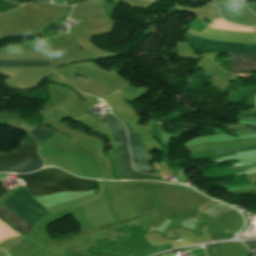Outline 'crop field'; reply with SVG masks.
Returning a JSON list of instances; mask_svg holds the SVG:
<instances>
[{"mask_svg": "<svg viewBox=\"0 0 256 256\" xmlns=\"http://www.w3.org/2000/svg\"><path fill=\"white\" fill-rule=\"evenodd\" d=\"M32 136H34L37 141L39 142V145H41L43 142L48 140L50 137L55 135V133L46 130L44 128H35L34 131L31 133Z\"/></svg>", "mask_w": 256, "mask_h": 256, "instance_id": "8", "label": "crop field"}, {"mask_svg": "<svg viewBox=\"0 0 256 256\" xmlns=\"http://www.w3.org/2000/svg\"><path fill=\"white\" fill-rule=\"evenodd\" d=\"M157 168L160 169L159 166H157Z\"/></svg>", "mask_w": 256, "mask_h": 256, "instance_id": "17", "label": "crop field"}, {"mask_svg": "<svg viewBox=\"0 0 256 256\" xmlns=\"http://www.w3.org/2000/svg\"><path fill=\"white\" fill-rule=\"evenodd\" d=\"M19 6H21V5H14V4H10L8 2H5L3 0H0V13L10 11L14 8L19 7Z\"/></svg>", "mask_w": 256, "mask_h": 256, "instance_id": "9", "label": "crop field"}, {"mask_svg": "<svg viewBox=\"0 0 256 256\" xmlns=\"http://www.w3.org/2000/svg\"><path fill=\"white\" fill-rule=\"evenodd\" d=\"M2 200L7 206L34 226L49 215V213L32 198L31 194L24 186L3 197ZM7 206L2 209L0 208V218L7 221L13 228L28 235L34 226Z\"/></svg>", "mask_w": 256, "mask_h": 256, "instance_id": "1", "label": "crop field"}, {"mask_svg": "<svg viewBox=\"0 0 256 256\" xmlns=\"http://www.w3.org/2000/svg\"><path fill=\"white\" fill-rule=\"evenodd\" d=\"M26 182L33 196H42L63 191H88L96 181L76 178L56 168H48L27 175H17Z\"/></svg>", "mask_w": 256, "mask_h": 256, "instance_id": "2", "label": "crop field"}, {"mask_svg": "<svg viewBox=\"0 0 256 256\" xmlns=\"http://www.w3.org/2000/svg\"><path fill=\"white\" fill-rule=\"evenodd\" d=\"M256 162H252V163H244V164H233V166H240V165H247V164H254Z\"/></svg>", "mask_w": 256, "mask_h": 256, "instance_id": "13", "label": "crop field"}, {"mask_svg": "<svg viewBox=\"0 0 256 256\" xmlns=\"http://www.w3.org/2000/svg\"><path fill=\"white\" fill-rule=\"evenodd\" d=\"M125 126L129 134L130 149L135 168L143 171H151L152 167L149 165V161L152 158L147 151L144 141L138 132L132 129L130 123H126Z\"/></svg>", "mask_w": 256, "mask_h": 256, "instance_id": "6", "label": "crop field"}, {"mask_svg": "<svg viewBox=\"0 0 256 256\" xmlns=\"http://www.w3.org/2000/svg\"><path fill=\"white\" fill-rule=\"evenodd\" d=\"M240 116H246V117H248V116H250V117H255L256 118V115H240Z\"/></svg>", "mask_w": 256, "mask_h": 256, "instance_id": "16", "label": "crop field"}, {"mask_svg": "<svg viewBox=\"0 0 256 256\" xmlns=\"http://www.w3.org/2000/svg\"><path fill=\"white\" fill-rule=\"evenodd\" d=\"M105 115L106 120L108 121L109 130L118 146L120 155L122 157L124 172L126 175H129L134 170L130 162L126 130L124 126L112 115Z\"/></svg>", "mask_w": 256, "mask_h": 256, "instance_id": "5", "label": "crop field"}, {"mask_svg": "<svg viewBox=\"0 0 256 256\" xmlns=\"http://www.w3.org/2000/svg\"><path fill=\"white\" fill-rule=\"evenodd\" d=\"M189 42L195 46V48L201 51H215L219 54L232 52V53H244L256 55V45L248 47L247 45H236L218 42H209L189 36ZM231 54V53H230ZM244 54H231L234 62L230 69L232 73H250L256 71V56L244 55ZM247 58L248 60H243Z\"/></svg>", "mask_w": 256, "mask_h": 256, "instance_id": "3", "label": "crop field"}, {"mask_svg": "<svg viewBox=\"0 0 256 256\" xmlns=\"http://www.w3.org/2000/svg\"><path fill=\"white\" fill-rule=\"evenodd\" d=\"M248 120L256 121L255 118H248ZM245 128V133H256V125L243 124Z\"/></svg>", "mask_w": 256, "mask_h": 256, "instance_id": "10", "label": "crop field"}, {"mask_svg": "<svg viewBox=\"0 0 256 256\" xmlns=\"http://www.w3.org/2000/svg\"><path fill=\"white\" fill-rule=\"evenodd\" d=\"M0 66L15 67V66H50L49 60H0Z\"/></svg>", "mask_w": 256, "mask_h": 256, "instance_id": "7", "label": "crop field"}, {"mask_svg": "<svg viewBox=\"0 0 256 256\" xmlns=\"http://www.w3.org/2000/svg\"><path fill=\"white\" fill-rule=\"evenodd\" d=\"M241 113L242 114H256V112H252V111H250V112L241 111Z\"/></svg>", "mask_w": 256, "mask_h": 256, "instance_id": "14", "label": "crop field"}, {"mask_svg": "<svg viewBox=\"0 0 256 256\" xmlns=\"http://www.w3.org/2000/svg\"><path fill=\"white\" fill-rule=\"evenodd\" d=\"M6 192V190L2 187V185L0 184V194Z\"/></svg>", "mask_w": 256, "mask_h": 256, "instance_id": "15", "label": "crop field"}, {"mask_svg": "<svg viewBox=\"0 0 256 256\" xmlns=\"http://www.w3.org/2000/svg\"><path fill=\"white\" fill-rule=\"evenodd\" d=\"M24 143L37 144L36 140L30 135ZM30 144H22L18 150L11 154H0V161L38 156L37 145ZM42 166L43 161L39 157L2 161L0 162V172L27 173L41 169Z\"/></svg>", "mask_w": 256, "mask_h": 256, "instance_id": "4", "label": "crop field"}, {"mask_svg": "<svg viewBox=\"0 0 256 256\" xmlns=\"http://www.w3.org/2000/svg\"><path fill=\"white\" fill-rule=\"evenodd\" d=\"M244 244L256 245V240H252V241H244Z\"/></svg>", "mask_w": 256, "mask_h": 256, "instance_id": "12", "label": "crop field"}, {"mask_svg": "<svg viewBox=\"0 0 256 256\" xmlns=\"http://www.w3.org/2000/svg\"><path fill=\"white\" fill-rule=\"evenodd\" d=\"M250 149H256V146L238 149V150H213V151L217 153H226V152H237V151H244V150H250Z\"/></svg>", "mask_w": 256, "mask_h": 256, "instance_id": "11", "label": "crop field"}]
</instances>
